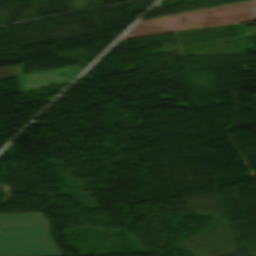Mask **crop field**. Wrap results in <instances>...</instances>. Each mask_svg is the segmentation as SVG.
Instances as JSON below:
<instances>
[{
    "instance_id": "1",
    "label": "crop field",
    "mask_w": 256,
    "mask_h": 256,
    "mask_svg": "<svg viewBox=\"0 0 256 256\" xmlns=\"http://www.w3.org/2000/svg\"><path fill=\"white\" fill-rule=\"evenodd\" d=\"M0 256H61L42 213L0 214Z\"/></svg>"
}]
</instances>
